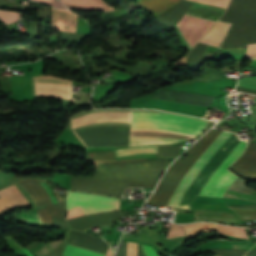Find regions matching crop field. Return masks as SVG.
Returning a JSON list of instances; mask_svg holds the SVG:
<instances>
[{
    "mask_svg": "<svg viewBox=\"0 0 256 256\" xmlns=\"http://www.w3.org/2000/svg\"><path fill=\"white\" fill-rule=\"evenodd\" d=\"M179 1L181 0H138L136 2L156 17L176 5Z\"/></svg>",
    "mask_w": 256,
    "mask_h": 256,
    "instance_id": "obj_13",
    "label": "crop field"
},
{
    "mask_svg": "<svg viewBox=\"0 0 256 256\" xmlns=\"http://www.w3.org/2000/svg\"><path fill=\"white\" fill-rule=\"evenodd\" d=\"M245 256H256V250L253 252L247 253Z\"/></svg>",
    "mask_w": 256,
    "mask_h": 256,
    "instance_id": "obj_38",
    "label": "crop field"
},
{
    "mask_svg": "<svg viewBox=\"0 0 256 256\" xmlns=\"http://www.w3.org/2000/svg\"><path fill=\"white\" fill-rule=\"evenodd\" d=\"M119 199L67 192V211L79 206L84 214L118 210Z\"/></svg>",
    "mask_w": 256,
    "mask_h": 256,
    "instance_id": "obj_5",
    "label": "crop field"
},
{
    "mask_svg": "<svg viewBox=\"0 0 256 256\" xmlns=\"http://www.w3.org/2000/svg\"><path fill=\"white\" fill-rule=\"evenodd\" d=\"M36 1L44 2V3H47L51 6H57V7L65 8L60 2H58L56 0H36Z\"/></svg>",
    "mask_w": 256,
    "mask_h": 256,
    "instance_id": "obj_34",
    "label": "crop field"
},
{
    "mask_svg": "<svg viewBox=\"0 0 256 256\" xmlns=\"http://www.w3.org/2000/svg\"><path fill=\"white\" fill-rule=\"evenodd\" d=\"M41 184H42V186L46 189V191L49 193V195H50V197H51V199H52L53 204H54V203H57L58 201H57V199L55 198L53 192L46 186L45 183H41Z\"/></svg>",
    "mask_w": 256,
    "mask_h": 256,
    "instance_id": "obj_36",
    "label": "crop field"
},
{
    "mask_svg": "<svg viewBox=\"0 0 256 256\" xmlns=\"http://www.w3.org/2000/svg\"><path fill=\"white\" fill-rule=\"evenodd\" d=\"M61 35H62V38L74 39V40H79L85 36L84 34L64 32V31H61Z\"/></svg>",
    "mask_w": 256,
    "mask_h": 256,
    "instance_id": "obj_31",
    "label": "crop field"
},
{
    "mask_svg": "<svg viewBox=\"0 0 256 256\" xmlns=\"http://www.w3.org/2000/svg\"><path fill=\"white\" fill-rule=\"evenodd\" d=\"M225 8L228 0H191Z\"/></svg>",
    "mask_w": 256,
    "mask_h": 256,
    "instance_id": "obj_29",
    "label": "crop field"
},
{
    "mask_svg": "<svg viewBox=\"0 0 256 256\" xmlns=\"http://www.w3.org/2000/svg\"><path fill=\"white\" fill-rule=\"evenodd\" d=\"M52 220H53V225L68 228L65 221L60 220V219H56V218H53V217H52Z\"/></svg>",
    "mask_w": 256,
    "mask_h": 256,
    "instance_id": "obj_35",
    "label": "crop field"
},
{
    "mask_svg": "<svg viewBox=\"0 0 256 256\" xmlns=\"http://www.w3.org/2000/svg\"><path fill=\"white\" fill-rule=\"evenodd\" d=\"M28 202L15 185L0 190V213L7 208L27 204Z\"/></svg>",
    "mask_w": 256,
    "mask_h": 256,
    "instance_id": "obj_10",
    "label": "crop field"
},
{
    "mask_svg": "<svg viewBox=\"0 0 256 256\" xmlns=\"http://www.w3.org/2000/svg\"><path fill=\"white\" fill-rule=\"evenodd\" d=\"M125 213L126 212L91 214L68 220L67 222L71 229L83 231L96 225H110Z\"/></svg>",
    "mask_w": 256,
    "mask_h": 256,
    "instance_id": "obj_8",
    "label": "crop field"
},
{
    "mask_svg": "<svg viewBox=\"0 0 256 256\" xmlns=\"http://www.w3.org/2000/svg\"><path fill=\"white\" fill-rule=\"evenodd\" d=\"M246 58H249L251 60H256V44L248 45Z\"/></svg>",
    "mask_w": 256,
    "mask_h": 256,
    "instance_id": "obj_32",
    "label": "crop field"
},
{
    "mask_svg": "<svg viewBox=\"0 0 256 256\" xmlns=\"http://www.w3.org/2000/svg\"><path fill=\"white\" fill-rule=\"evenodd\" d=\"M20 184L30 193L38 208L46 206L52 216L63 219L65 200L52 205L49 195L37 181H25Z\"/></svg>",
    "mask_w": 256,
    "mask_h": 256,
    "instance_id": "obj_7",
    "label": "crop field"
},
{
    "mask_svg": "<svg viewBox=\"0 0 256 256\" xmlns=\"http://www.w3.org/2000/svg\"><path fill=\"white\" fill-rule=\"evenodd\" d=\"M136 1V0H135Z\"/></svg>",
    "mask_w": 256,
    "mask_h": 256,
    "instance_id": "obj_39",
    "label": "crop field"
},
{
    "mask_svg": "<svg viewBox=\"0 0 256 256\" xmlns=\"http://www.w3.org/2000/svg\"><path fill=\"white\" fill-rule=\"evenodd\" d=\"M88 158L97 160H115L113 151L109 152H89Z\"/></svg>",
    "mask_w": 256,
    "mask_h": 256,
    "instance_id": "obj_24",
    "label": "crop field"
},
{
    "mask_svg": "<svg viewBox=\"0 0 256 256\" xmlns=\"http://www.w3.org/2000/svg\"><path fill=\"white\" fill-rule=\"evenodd\" d=\"M237 173L248 179L256 178V144L251 142L245 153L231 165Z\"/></svg>",
    "mask_w": 256,
    "mask_h": 256,
    "instance_id": "obj_9",
    "label": "crop field"
},
{
    "mask_svg": "<svg viewBox=\"0 0 256 256\" xmlns=\"http://www.w3.org/2000/svg\"><path fill=\"white\" fill-rule=\"evenodd\" d=\"M194 215H216L237 220L234 213L221 212L216 210H193ZM216 216H194L195 220H210L224 223L236 224L237 221Z\"/></svg>",
    "mask_w": 256,
    "mask_h": 256,
    "instance_id": "obj_14",
    "label": "crop field"
},
{
    "mask_svg": "<svg viewBox=\"0 0 256 256\" xmlns=\"http://www.w3.org/2000/svg\"><path fill=\"white\" fill-rule=\"evenodd\" d=\"M22 250L26 253L27 256H33V254L30 251H28L27 249L22 248Z\"/></svg>",
    "mask_w": 256,
    "mask_h": 256,
    "instance_id": "obj_37",
    "label": "crop field"
},
{
    "mask_svg": "<svg viewBox=\"0 0 256 256\" xmlns=\"http://www.w3.org/2000/svg\"><path fill=\"white\" fill-rule=\"evenodd\" d=\"M167 162L144 160L103 164L88 178L71 176V189L122 196L127 187L154 188Z\"/></svg>",
    "mask_w": 256,
    "mask_h": 256,
    "instance_id": "obj_2",
    "label": "crop field"
},
{
    "mask_svg": "<svg viewBox=\"0 0 256 256\" xmlns=\"http://www.w3.org/2000/svg\"><path fill=\"white\" fill-rule=\"evenodd\" d=\"M238 216L256 214V210L237 211ZM256 219V215L239 217V220Z\"/></svg>",
    "mask_w": 256,
    "mask_h": 256,
    "instance_id": "obj_30",
    "label": "crop field"
},
{
    "mask_svg": "<svg viewBox=\"0 0 256 256\" xmlns=\"http://www.w3.org/2000/svg\"><path fill=\"white\" fill-rule=\"evenodd\" d=\"M179 182L162 179L161 183L147 201L149 204L166 206L171 195L177 188Z\"/></svg>",
    "mask_w": 256,
    "mask_h": 256,
    "instance_id": "obj_11",
    "label": "crop field"
},
{
    "mask_svg": "<svg viewBox=\"0 0 256 256\" xmlns=\"http://www.w3.org/2000/svg\"><path fill=\"white\" fill-rule=\"evenodd\" d=\"M228 26H229V24H227V23L223 24L222 28L220 29V31L218 32L216 37L210 43L211 46H216V47L219 46V44L221 43V41H222L226 31H227Z\"/></svg>",
    "mask_w": 256,
    "mask_h": 256,
    "instance_id": "obj_26",
    "label": "crop field"
},
{
    "mask_svg": "<svg viewBox=\"0 0 256 256\" xmlns=\"http://www.w3.org/2000/svg\"><path fill=\"white\" fill-rule=\"evenodd\" d=\"M81 215H84V214H83V212L80 210V208L77 207V208H75V209H73V210H71V211H69V212L67 213V218H66V220L71 219V218H74V217H77V216H81Z\"/></svg>",
    "mask_w": 256,
    "mask_h": 256,
    "instance_id": "obj_33",
    "label": "crop field"
},
{
    "mask_svg": "<svg viewBox=\"0 0 256 256\" xmlns=\"http://www.w3.org/2000/svg\"><path fill=\"white\" fill-rule=\"evenodd\" d=\"M222 23L217 22L213 28L204 36V38L200 41V43H204L209 45V43L211 42V40L213 39V37L215 36V34L218 32V30L220 29Z\"/></svg>",
    "mask_w": 256,
    "mask_h": 256,
    "instance_id": "obj_25",
    "label": "crop field"
},
{
    "mask_svg": "<svg viewBox=\"0 0 256 256\" xmlns=\"http://www.w3.org/2000/svg\"><path fill=\"white\" fill-rule=\"evenodd\" d=\"M68 244H72L75 246H79L82 248L90 249L93 251H97L100 253H106L108 244L105 241H102L96 237L90 236L86 233L72 231L70 240ZM66 245L64 250V255L68 256H104V254H100L97 252H93L90 250L82 249L79 247H75L72 245Z\"/></svg>",
    "mask_w": 256,
    "mask_h": 256,
    "instance_id": "obj_6",
    "label": "crop field"
},
{
    "mask_svg": "<svg viewBox=\"0 0 256 256\" xmlns=\"http://www.w3.org/2000/svg\"><path fill=\"white\" fill-rule=\"evenodd\" d=\"M206 48L207 45L198 43L197 46L193 49V51L190 54H188L186 65L201 63Z\"/></svg>",
    "mask_w": 256,
    "mask_h": 256,
    "instance_id": "obj_19",
    "label": "crop field"
},
{
    "mask_svg": "<svg viewBox=\"0 0 256 256\" xmlns=\"http://www.w3.org/2000/svg\"><path fill=\"white\" fill-rule=\"evenodd\" d=\"M207 122L171 114L133 112L131 132L179 135L193 138ZM131 133L129 146L176 143L188 138L170 135Z\"/></svg>",
    "mask_w": 256,
    "mask_h": 256,
    "instance_id": "obj_3",
    "label": "crop field"
},
{
    "mask_svg": "<svg viewBox=\"0 0 256 256\" xmlns=\"http://www.w3.org/2000/svg\"><path fill=\"white\" fill-rule=\"evenodd\" d=\"M184 234V230L182 225H171L170 230L168 232V236L167 238H171V237H177V236H183Z\"/></svg>",
    "mask_w": 256,
    "mask_h": 256,
    "instance_id": "obj_28",
    "label": "crop field"
},
{
    "mask_svg": "<svg viewBox=\"0 0 256 256\" xmlns=\"http://www.w3.org/2000/svg\"><path fill=\"white\" fill-rule=\"evenodd\" d=\"M64 4L74 8L110 10L102 0H61ZM65 5V6H66Z\"/></svg>",
    "mask_w": 256,
    "mask_h": 256,
    "instance_id": "obj_15",
    "label": "crop field"
},
{
    "mask_svg": "<svg viewBox=\"0 0 256 256\" xmlns=\"http://www.w3.org/2000/svg\"><path fill=\"white\" fill-rule=\"evenodd\" d=\"M219 256H243L247 251L242 250H212Z\"/></svg>",
    "mask_w": 256,
    "mask_h": 256,
    "instance_id": "obj_27",
    "label": "crop field"
},
{
    "mask_svg": "<svg viewBox=\"0 0 256 256\" xmlns=\"http://www.w3.org/2000/svg\"><path fill=\"white\" fill-rule=\"evenodd\" d=\"M20 13L0 11V20L6 24L16 22L19 20Z\"/></svg>",
    "mask_w": 256,
    "mask_h": 256,
    "instance_id": "obj_23",
    "label": "crop field"
},
{
    "mask_svg": "<svg viewBox=\"0 0 256 256\" xmlns=\"http://www.w3.org/2000/svg\"><path fill=\"white\" fill-rule=\"evenodd\" d=\"M43 223H52L51 216L48 214L46 208L37 210ZM37 213H21V219L32 224L42 225V222Z\"/></svg>",
    "mask_w": 256,
    "mask_h": 256,
    "instance_id": "obj_16",
    "label": "crop field"
},
{
    "mask_svg": "<svg viewBox=\"0 0 256 256\" xmlns=\"http://www.w3.org/2000/svg\"><path fill=\"white\" fill-rule=\"evenodd\" d=\"M115 152H116L117 157L126 156V155H132V154H138V153L155 154L156 146L125 149V150H119V151H115Z\"/></svg>",
    "mask_w": 256,
    "mask_h": 256,
    "instance_id": "obj_20",
    "label": "crop field"
},
{
    "mask_svg": "<svg viewBox=\"0 0 256 256\" xmlns=\"http://www.w3.org/2000/svg\"><path fill=\"white\" fill-rule=\"evenodd\" d=\"M218 130L212 129L202 139H200L194 146H192L187 153L186 159L178 158L166 171L164 177L181 181L190 167L211 143V141L218 134ZM228 132L220 131L208 148L203 152L195 164L191 167L188 173L180 182L178 188L174 192L169 204L174 205L177 208L178 200L196 175L207 159L212 153L219 147V145L228 136ZM239 140L236 139V135L229 134L220 147L213 153V155L204 164L201 170L194 177L184 194L182 195L178 208L190 210L191 204L198 195L199 191L203 187L206 180L216 169L219 163L224 157L231 151ZM246 144L243 141H239L238 144L232 149V151L225 157L220 163L217 169L213 172L206 184L202 188L199 195L222 197L225 190L232 184L237 177L231 171L226 170L243 152Z\"/></svg>",
    "mask_w": 256,
    "mask_h": 256,
    "instance_id": "obj_1",
    "label": "crop field"
},
{
    "mask_svg": "<svg viewBox=\"0 0 256 256\" xmlns=\"http://www.w3.org/2000/svg\"><path fill=\"white\" fill-rule=\"evenodd\" d=\"M186 236L191 237L194 236V233L205 232V231H213L216 230L217 224L215 223H191L183 225Z\"/></svg>",
    "mask_w": 256,
    "mask_h": 256,
    "instance_id": "obj_17",
    "label": "crop field"
},
{
    "mask_svg": "<svg viewBox=\"0 0 256 256\" xmlns=\"http://www.w3.org/2000/svg\"><path fill=\"white\" fill-rule=\"evenodd\" d=\"M233 23L222 48H246L248 34V0H231L220 19ZM256 43V0H249V34L248 44Z\"/></svg>",
    "mask_w": 256,
    "mask_h": 256,
    "instance_id": "obj_4",
    "label": "crop field"
},
{
    "mask_svg": "<svg viewBox=\"0 0 256 256\" xmlns=\"http://www.w3.org/2000/svg\"><path fill=\"white\" fill-rule=\"evenodd\" d=\"M142 245V244H141ZM146 256H158L152 247L142 245ZM127 256H137V244L127 242ZM138 256H143L141 249L138 245Z\"/></svg>",
    "mask_w": 256,
    "mask_h": 256,
    "instance_id": "obj_18",
    "label": "crop field"
},
{
    "mask_svg": "<svg viewBox=\"0 0 256 256\" xmlns=\"http://www.w3.org/2000/svg\"><path fill=\"white\" fill-rule=\"evenodd\" d=\"M180 148L172 146H157L156 157H176Z\"/></svg>",
    "mask_w": 256,
    "mask_h": 256,
    "instance_id": "obj_22",
    "label": "crop field"
},
{
    "mask_svg": "<svg viewBox=\"0 0 256 256\" xmlns=\"http://www.w3.org/2000/svg\"><path fill=\"white\" fill-rule=\"evenodd\" d=\"M238 86L256 90V77L241 78V80L238 83ZM244 88L238 87V90L242 92L256 94V91L248 90Z\"/></svg>",
    "mask_w": 256,
    "mask_h": 256,
    "instance_id": "obj_21",
    "label": "crop field"
},
{
    "mask_svg": "<svg viewBox=\"0 0 256 256\" xmlns=\"http://www.w3.org/2000/svg\"><path fill=\"white\" fill-rule=\"evenodd\" d=\"M192 4L182 1L177 6L173 7L169 11L165 12L161 16L157 17L158 21L171 28L186 14L191 8Z\"/></svg>",
    "mask_w": 256,
    "mask_h": 256,
    "instance_id": "obj_12",
    "label": "crop field"
}]
</instances>
